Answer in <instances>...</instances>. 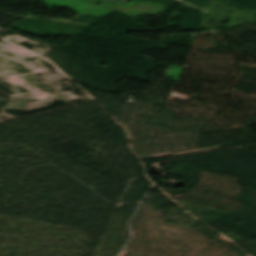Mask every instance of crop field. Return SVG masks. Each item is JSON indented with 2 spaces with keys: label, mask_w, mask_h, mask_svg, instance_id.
Returning a JSON list of instances; mask_svg holds the SVG:
<instances>
[{
  "label": "crop field",
  "mask_w": 256,
  "mask_h": 256,
  "mask_svg": "<svg viewBox=\"0 0 256 256\" xmlns=\"http://www.w3.org/2000/svg\"><path fill=\"white\" fill-rule=\"evenodd\" d=\"M109 1H111V2H114V3L118 4V3H120V2H122V1H124V0H109Z\"/></svg>",
  "instance_id": "obj_3"
},
{
  "label": "crop field",
  "mask_w": 256,
  "mask_h": 256,
  "mask_svg": "<svg viewBox=\"0 0 256 256\" xmlns=\"http://www.w3.org/2000/svg\"><path fill=\"white\" fill-rule=\"evenodd\" d=\"M253 15L256 14V0H222Z\"/></svg>",
  "instance_id": "obj_1"
},
{
  "label": "crop field",
  "mask_w": 256,
  "mask_h": 256,
  "mask_svg": "<svg viewBox=\"0 0 256 256\" xmlns=\"http://www.w3.org/2000/svg\"><path fill=\"white\" fill-rule=\"evenodd\" d=\"M201 12L206 13L212 0H179Z\"/></svg>",
  "instance_id": "obj_2"
}]
</instances>
